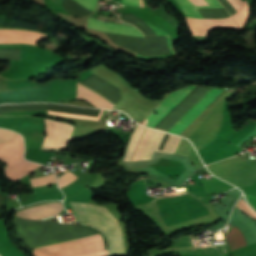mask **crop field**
I'll list each match as a JSON object with an SVG mask.
<instances>
[{"label":"crop field","instance_id":"obj_1","mask_svg":"<svg viewBox=\"0 0 256 256\" xmlns=\"http://www.w3.org/2000/svg\"><path fill=\"white\" fill-rule=\"evenodd\" d=\"M69 203L78 222L92 225L105 234L109 244V256L124 254L120 226L106 208L88 203Z\"/></svg>","mask_w":256,"mask_h":256},{"label":"crop field","instance_id":"obj_2","mask_svg":"<svg viewBox=\"0 0 256 256\" xmlns=\"http://www.w3.org/2000/svg\"><path fill=\"white\" fill-rule=\"evenodd\" d=\"M180 88L168 94L141 122V124L152 128L190 89ZM225 90L212 88L191 110H189L169 131L180 135L196 118Z\"/></svg>","mask_w":256,"mask_h":256},{"label":"crop field","instance_id":"obj_3","mask_svg":"<svg viewBox=\"0 0 256 256\" xmlns=\"http://www.w3.org/2000/svg\"><path fill=\"white\" fill-rule=\"evenodd\" d=\"M78 81L56 80L51 82L49 102L59 103L77 99ZM78 99L89 102L97 108L109 109L115 101L79 81Z\"/></svg>","mask_w":256,"mask_h":256},{"label":"crop field","instance_id":"obj_4","mask_svg":"<svg viewBox=\"0 0 256 256\" xmlns=\"http://www.w3.org/2000/svg\"><path fill=\"white\" fill-rule=\"evenodd\" d=\"M185 15L203 18L196 9H211L223 8L217 0H205L209 6H195L193 5H207L204 0H176ZM184 17L185 21L192 33V35L207 36V33L212 28H237L231 17L224 19H197L191 17Z\"/></svg>","mask_w":256,"mask_h":256},{"label":"crop field","instance_id":"obj_5","mask_svg":"<svg viewBox=\"0 0 256 256\" xmlns=\"http://www.w3.org/2000/svg\"><path fill=\"white\" fill-rule=\"evenodd\" d=\"M24 154V144L21 136L7 144L0 145V159L7 164L5 176L10 180H17L40 165L26 162L22 156Z\"/></svg>","mask_w":256,"mask_h":256},{"label":"crop field","instance_id":"obj_6","mask_svg":"<svg viewBox=\"0 0 256 256\" xmlns=\"http://www.w3.org/2000/svg\"><path fill=\"white\" fill-rule=\"evenodd\" d=\"M49 86H39L0 93L1 103L48 102Z\"/></svg>","mask_w":256,"mask_h":256},{"label":"crop field","instance_id":"obj_7","mask_svg":"<svg viewBox=\"0 0 256 256\" xmlns=\"http://www.w3.org/2000/svg\"><path fill=\"white\" fill-rule=\"evenodd\" d=\"M86 27L106 33L144 38L142 33L135 27L107 23L92 18H87Z\"/></svg>","mask_w":256,"mask_h":256},{"label":"crop field","instance_id":"obj_8","mask_svg":"<svg viewBox=\"0 0 256 256\" xmlns=\"http://www.w3.org/2000/svg\"><path fill=\"white\" fill-rule=\"evenodd\" d=\"M63 210L61 203H51L36 206L33 208L26 209L24 211L17 212L16 215L31 220H39L59 214ZM38 251V250H37ZM34 249L35 256H42L39 252Z\"/></svg>","mask_w":256,"mask_h":256},{"label":"crop field","instance_id":"obj_9","mask_svg":"<svg viewBox=\"0 0 256 256\" xmlns=\"http://www.w3.org/2000/svg\"><path fill=\"white\" fill-rule=\"evenodd\" d=\"M45 37L46 35L35 32L0 30V43H29L35 45Z\"/></svg>","mask_w":256,"mask_h":256},{"label":"crop field","instance_id":"obj_10","mask_svg":"<svg viewBox=\"0 0 256 256\" xmlns=\"http://www.w3.org/2000/svg\"><path fill=\"white\" fill-rule=\"evenodd\" d=\"M232 7L238 12L239 8L242 6V1L241 0H227ZM248 5L245 1L243 4L242 8L238 13H236L233 17L235 23L237 24L238 28H241L243 23L245 22L248 14Z\"/></svg>","mask_w":256,"mask_h":256},{"label":"crop field","instance_id":"obj_11","mask_svg":"<svg viewBox=\"0 0 256 256\" xmlns=\"http://www.w3.org/2000/svg\"><path fill=\"white\" fill-rule=\"evenodd\" d=\"M225 236L230 244V251L246 245L243 235L235 226Z\"/></svg>","mask_w":256,"mask_h":256},{"label":"crop field","instance_id":"obj_12","mask_svg":"<svg viewBox=\"0 0 256 256\" xmlns=\"http://www.w3.org/2000/svg\"><path fill=\"white\" fill-rule=\"evenodd\" d=\"M47 110L45 104L6 105L0 106V114L14 111Z\"/></svg>","mask_w":256,"mask_h":256},{"label":"crop field","instance_id":"obj_13","mask_svg":"<svg viewBox=\"0 0 256 256\" xmlns=\"http://www.w3.org/2000/svg\"><path fill=\"white\" fill-rule=\"evenodd\" d=\"M30 182H31L32 187L39 186V185H44V184H49V183H54V182H56L55 174L49 175V176H46V177H43V178H39V179H33V180H30Z\"/></svg>","mask_w":256,"mask_h":256},{"label":"crop field","instance_id":"obj_14","mask_svg":"<svg viewBox=\"0 0 256 256\" xmlns=\"http://www.w3.org/2000/svg\"><path fill=\"white\" fill-rule=\"evenodd\" d=\"M77 177L74 176L72 173L68 172L60 177H58V186L60 188L70 184L73 182Z\"/></svg>","mask_w":256,"mask_h":256},{"label":"crop field","instance_id":"obj_15","mask_svg":"<svg viewBox=\"0 0 256 256\" xmlns=\"http://www.w3.org/2000/svg\"><path fill=\"white\" fill-rule=\"evenodd\" d=\"M15 136H16V133L10 132L5 129H0V144H4L13 140Z\"/></svg>","mask_w":256,"mask_h":256},{"label":"crop field","instance_id":"obj_16","mask_svg":"<svg viewBox=\"0 0 256 256\" xmlns=\"http://www.w3.org/2000/svg\"><path fill=\"white\" fill-rule=\"evenodd\" d=\"M239 209L243 210L244 212H246L247 214H249L250 216L256 218V214L255 212L250 208L248 207L244 201H242L241 199L239 200L237 206Z\"/></svg>","mask_w":256,"mask_h":256},{"label":"crop field","instance_id":"obj_17","mask_svg":"<svg viewBox=\"0 0 256 256\" xmlns=\"http://www.w3.org/2000/svg\"><path fill=\"white\" fill-rule=\"evenodd\" d=\"M77 3L83 5L88 10L92 11L94 10L96 6V0H75Z\"/></svg>","mask_w":256,"mask_h":256},{"label":"crop field","instance_id":"obj_18","mask_svg":"<svg viewBox=\"0 0 256 256\" xmlns=\"http://www.w3.org/2000/svg\"><path fill=\"white\" fill-rule=\"evenodd\" d=\"M167 38V41H168V45H169V50L171 52V54H168V55H162V56H155V57H144V56H140L139 54H137L138 57L140 58H148V59H156V58H164V57H168V56H171V55H174V51L171 47V40L169 37H166Z\"/></svg>","mask_w":256,"mask_h":256},{"label":"crop field","instance_id":"obj_19","mask_svg":"<svg viewBox=\"0 0 256 256\" xmlns=\"http://www.w3.org/2000/svg\"><path fill=\"white\" fill-rule=\"evenodd\" d=\"M146 24L153 30V32L156 34V35H169L168 33H166L165 31L149 24L146 22Z\"/></svg>","mask_w":256,"mask_h":256},{"label":"crop field","instance_id":"obj_20","mask_svg":"<svg viewBox=\"0 0 256 256\" xmlns=\"http://www.w3.org/2000/svg\"><path fill=\"white\" fill-rule=\"evenodd\" d=\"M140 1V6H143V0ZM139 1L138 0H123L122 4H129L133 6H139Z\"/></svg>","mask_w":256,"mask_h":256},{"label":"crop field","instance_id":"obj_21","mask_svg":"<svg viewBox=\"0 0 256 256\" xmlns=\"http://www.w3.org/2000/svg\"><path fill=\"white\" fill-rule=\"evenodd\" d=\"M247 197V201L249 202V204L256 209V197L253 195H246Z\"/></svg>","mask_w":256,"mask_h":256}]
</instances>
